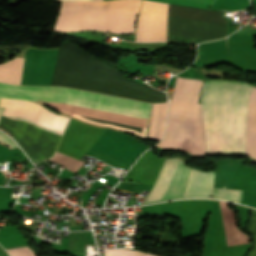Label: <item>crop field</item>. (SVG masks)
I'll use <instances>...</instances> for the list:
<instances>
[{"label":"crop field","instance_id":"crop-field-1","mask_svg":"<svg viewBox=\"0 0 256 256\" xmlns=\"http://www.w3.org/2000/svg\"><path fill=\"white\" fill-rule=\"evenodd\" d=\"M252 86L205 81L202 108L207 152H245L247 100ZM246 155L256 158V88L248 100Z\"/></svg>","mask_w":256,"mask_h":256},{"label":"crop field","instance_id":"crop-field-2","mask_svg":"<svg viewBox=\"0 0 256 256\" xmlns=\"http://www.w3.org/2000/svg\"><path fill=\"white\" fill-rule=\"evenodd\" d=\"M0 97L31 101L58 102L81 108L147 121L150 104L60 87L16 86L0 83ZM44 103L86 122L127 130L144 136L147 122L81 109L58 103Z\"/></svg>","mask_w":256,"mask_h":256},{"label":"crop field","instance_id":"crop-field-3","mask_svg":"<svg viewBox=\"0 0 256 256\" xmlns=\"http://www.w3.org/2000/svg\"><path fill=\"white\" fill-rule=\"evenodd\" d=\"M51 85L66 86L145 102L167 101L165 93L124 78L83 49L62 43Z\"/></svg>","mask_w":256,"mask_h":256},{"label":"crop field","instance_id":"crop-field-4","mask_svg":"<svg viewBox=\"0 0 256 256\" xmlns=\"http://www.w3.org/2000/svg\"><path fill=\"white\" fill-rule=\"evenodd\" d=\"M202 81L177 78L170 102L165 138L161 148H183L191 154L206 155L201 104Z\"/></svg>","mask_w":256,"mask_h":256},{"label":"crop field","instance_id":"crop-field-5","mask_svg":"<svg viewBox=\"0 0 256 256\" xmlns=\"http://www.w3.org/2000/svg\"><path fill=\"white\" fill-rule=\"evenodd\" d=\"M142 0L62 2L55 30L94 29L113 33L134 32Z\"/></svg>","mask_w":256,"mask_h":256},{"label":"crop field","instance_id":"crop-field-6","mask_svg":"<svg viewBox=\"0 0 256 256\" xmlns=\"http://www.w3.org/2000/svg\"><path fill=\"white\" fill-rule=\"evenodd\" d=\"M184 164L178 157L166 158L158 178L143 204L183 197L191 170Z\"/></svg>","mask_w":256,"mask_h":256},{"label":"crop field","instance_id":"crop-field-7","mask_svg":"<svg viewBox=\"0 0 256 256\" xmlns=\"http://www.w3.org/2000/svg\"><path fill=\"white\" fill-rule=\"evenodd\" d=\"M0 107H5L2 115L22 118L61 136L70 119L58 115L35 102L1 98Z\"/></svg>","mask_w":256,"mask_h":256},{"label":"crop field","instance_id":"crop-field-8","mask_svg":"<svg viewBox=\"0 0 256 256\" xmlns=\"http://www.w3.org/2000/svg\"><path fill=\"white\" fill-rule=\"evenodd\" d=\"M168 4L143 0L136 41H166Z\"/></svg>","mask_w":256,"mask_h":256},{"label":"crop field","instance_id":"crop-field-9","mask_svg":"<svg viewBox=\"0 0 256 256\" xmlns=\"http://www.w3.org/2000/svg\"><path fill=\"white\" fill-rule=\"evenodd\" d=\"M215 172L191 170L185 197H210L213 189Z\"/></svg>","mask_w":256,"mask_h":256},{"label":"crop field","instance_id":"crop-field-10","mask_svg":"<svg viewBox=\"0 0 256 256\" xmlns=\"http://www.w3.org/2000/svg\"><path fill=\"white\" fill-rule=\"evenodd\" d=\"M166 110L167 103L153 104L147 138L162 139L165 129Z\"/></svg>","mask_w":256,"mask_h":256},{"label":"crop field","instance_id":"crop-field-11","mask_svg":"<svg viewBox=\"0 0 256 256\" xmlns=\"http://www.w3.org/2000/svg\"><path fill=\"white\" fill-rule=\"evenodd\" d=\"M23 58L14 57L0 64V82L20 84Z\"/></svg>","mask_w":256,"mask_h":256},{"label":"crop field","instance_id":"crop-field-12","mask_svg":"<svg viewBox=\"0 0 256 256\" xmlns=\"http://www.w3.org/2000/svg\"><path fill=\"white\" fill-rule=\"evenodd\" d=\"M56 163L67 166L66 169L76 173L77 170L82 166L83 162L76 159L70 158L63 154L56 152V154L50 159Z\"/></svg>","mask_w":256,"mask_h":256},{"label":"crop field","instance_id":"crop-field-13","mask_svg":"<svg viewBox=\"0 0 256 256\" xmlns=\"http://www.w3.org/2000/svg\"><path fill=\"white\" fill-rule=\"evenodd\" d=\"M154 1L208 9V7L213 6L216 0H154Z\"/></svg>","mask_w":256,"mask_h":256},{"label":"crop field","instance_id":"crop-field-14","mask_svg":"<svg viewBox=\"0 0 256 256\" xmlns=\"http://www.w3.org/2000/svg\"><path fill=\"white\" fill-rule=\"evenodd\" d=\"M243 191L215 189L212 198L240 203Z\"/></svg>","mask_w":256,"mask_h":256},{"label":"crop field","instance_id":"crop-field-15","mask_svg":"<svg viewBox=\"0 0 256 256\" xmlns=\"http://www.w3.org/2000/svg\"><path fill=\"white\" fill-rule=\"evenodd\" d=\"M104 256H154L143 251L134 250H104Z\"/></svg>","mask_w":256,"mask_h":256},{"label":"crop field","instance_id":"crop-field-16","mask_svg":"<svg viewBox=\"0 0 256 256\" xmlns=\"http://www.w3.org/2000/svg\"><path fill=\"white\" fill-rule=\"evenodd\" d=\"M251 213H252V217L247 226V229L253 236L254 248L250 251L248 256H256V210L252 209Z\"/></svg>","mask_w":256,"mask_h":256},{"label":"crop field","instance_id":"crop-field-17","mask_svg":"<svg viewBox=\"0 0 256 256\" xmlns=\"http://www.w3.org/2000/svg\"><path fill=\"white\" fill-rule=\"evenodd\" d=\"M7 252L10 256H36L29 247L8 249Z\"/></svg>","mask_w":256,"mask_h":256},{"label":"crop field","instance_id":"crop-field-18","mask_svg":"<svg viewBox=\"0 0 256 256\" xmlns=\"http://www.w3.org/2000/svg\"><path fill=\"white\" fill-rule=\"evenodd\" d=\"M0 142L5 143L12 148L17 147V145L2 132H0Z\"/></svg>","mask_w":256,"mask_h":256},{"label":"crop field","instance_id":"crop-field-19","mask_svg":"<svg viewBox=\"0 0 256 256\" xmlns=\"http://www.w3.org/2000/svg\"><path fill=\"white\" fill-rule=\"evenodd\" d=\"M3 109H4V108H0V115H1V113H2V111H3Z\"/></svg>","mask_w":256,"mask_h":256}]
</instances>
